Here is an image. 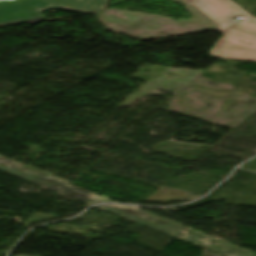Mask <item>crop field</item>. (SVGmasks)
Listing matches in <instances>:
<instances>
[{
	"mask_svg": "<svg viewBox=\"0 0 256 256\" xmlns=\"http://www.w3.org/2000/svg\"><path fill=\"white\" fill-rule=\"evenodd\" d=\"M110 0H6L0 1V25L43 17L48 8L97 14Z\"/></svg>",
	"mask_w": 256,
	"mask_h": 256,
	"instance_id": "obj_2",
	"label": "crop field"
},
{
	"mask_svg": "<svg viewBox=\"0 0 256 256\" xmlns=\"http://www.w3.org/2000/svg\"><path fill=\"white\" fill-rule=\"evenodd\" d=\"M194 1L196 7L221 25L218 31L224 34L211 50L212 57L256 61V18L231 0ZM234 16L242 21H232Z\"/></svg>",
	"mask_w": 256,
	"mask_h": 256,
	"instance_id": "obj_1",
	"label": "crop field"
}]
</instances>
